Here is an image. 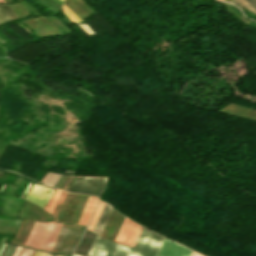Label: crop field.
<instances>
[{
  "instance_id": "8a807250",
  "label": "crop field",
  "mask_w": 256,
  "mask_h": 256,
  "mask_svg": "<svg viewBox=\"0 0 256 256\" xmlns=\"http://www.w3.org/2000/svg\"><path fill=\"white\" fill-rule=\"evenodd\" d=\"M162 237L142 228L133 249L121 246L96 236L88 255L90 256H155Z\"/></svg>"
},
{
  "instance_id": "ac0d7876",
  "label": "crop field",
  "mask_w": 256,
  "mask_h": 256,
  "mask_svg": "<svg viewBox=\"0 0 256 256\" xmlns=\"http://www.w3.org/2000/svg\"><path fill=\"white\" fill-rule=\"evenodd\" d=\"M63 223L36 222L25 245L51 252Z\"/></svg>"
},
{
  "instance_id": "34b2d1b8",
  "label": "crop field",
  "mask_w": 256,
  "mask_h": 256,
  "mask_svg": "<svg viewBox=\"0 0 256 256\" xmlns=\"http://www.w3.org/2000/svg\"><path fill=\"white\" fill-rule=\"evenodd\" d=\"M141 228V226L125 219L115 241L133 247Z\"/></svg>"
},
{
  "instance_id": "412701ff",
  "label": "crop field",
  "mask_w": 256,
  "mask_h": 256,
  "mask_svg": "<svg viewBox=\"0 0 256 256\" xmlns=\"http://www.w3.org/2000/svg\"><path fill=\"white\" fill-rule=\"evenodd\" d=\"M48 190L51 191L50 194H47ZM53 192L54 189L34 183L27 194L24 196V199H27L44 208Z\"/></svg>"
},
{
  "instance_id": "f4fd0767",
  "label": "crop field",
  "mask_w": 256,
  "mask_h": 256,
  "mask_svg": "<svg viewBox=\"0 0 256 256\" xmlns=\"http://www.w3.org/2000/svg\"><path fill=\"white\" fill-rule=\"evenodd\" d=\"M191 252V250L164 238L156 256H190Z\"/></svg>"
},
{
  "instance_id": "dd49c442",
  "label": "crop field",
  "mask_w": 256,
  "mask_h": 256,
  "mask_svg": "<svg viewBox=\"0 0 256 256\" xmlns=\"http://www.w3.org/2000/svg\"><path fill=\"white\" fill-rule=\"evenodd\" d=\"M97 202H98L97 198L95 197L89 198L86 204V207L82 213V216L78 222L79 224H86V225L88 224Z\"/></svg>"
},
{
  "instance_id": "e52e79f7",
  "label": "crop field",
  "mask_w": 256,
  "mask_h": 256,
  "mask_svg": "<svg viewBox=\"0 0 256 256\" xmlns=\"http://www.w3.org/2000/svg\"><path fill=\"white\" fill-rule=\"evenodd\" d=\"M232 4L237 3L242 7L256 13V0H233Z\"/></svg>"
},
{
  "instance_id": "d8731c3e",
  "label": "crop field",
  "mask_w": 256,
  "mask_h": 256,
  "mask_svg": "<svg viewBox=\"0 0 256 256\" xmlns=\"http://www.w3.org/2000/svg\"><path fill=\"white\" fill-rule=\"evenodd\" d=\"M103 205H104V203H102V202L100 201V203H99V205H98V207H97V209H96V211H95V214H94V216H93V218H92V220H91V222H90V224H89L88 229L93 230V228H94V226H95V223H96V221H97V219H98V216H99V214H100V212H101V209H102Z\"/></svg>"
},
{
  "instance_id": "5a996713",
  "label": "crop field",
  "mask_w": 256,
  "mask_h": 256,
  "mask_svg": "<svg viewBox=\"0 0 256 256\" xmlns=\"http://www.w3.org/2000/svg\"><path fill=\"white\" fill-rule=\"evenodd\" d=\"M63 11L67 15V17L72 21V22H79L82 21L80 18H78L74 13H72L65 5L63 6Z\"/></svg>"
},
{
  "instance_id": "3316defc",
  "label": "crop field",
  "mask_w": 256,
  "mask_h": 256,
  "mask_svg": "<svg viewBox=\"0 0 256 256\" xmlns=\"http://www.w3.org/2000/svg\"><path fill=\"white\" fill-rule=\"evenodd\" d=\"M59 193H60V191L55 190L53 196L51 197V199H50V201H49V203L47 204V206H46L45 209H47V210H49V211H52V209H53V207H54V204H55V202H56V200H57V197H58Z\"/></svg>"
},
{
  "instance_id": "28ad6ade",
  "label": "crop field",
  "mask_w": 256,
  "mask_h": 256,
  "mask_svg": "<svg viewBox=\"0 0 256 256\" xmlns=\"http://www.w3.org/2000/svg\"><path fill=\"white\" fill-rule=\"evenodd\" d=\"M32 252H33V249L24 247V249L22 250L19 256H30Z\"/></svg>"
},
{
  "instance_id": "d1516ede",
  "label": "crop field",
  "mask_w": 256,
  "mask_h": 256,
  "mask_svg": "<svg viewBox=\"0 0 256 256\" xmlns=\"http://www.w3.org/2000/svg\"><path fill=\"white\" fill-rule=\"evenodd\" d=\"M45 253L41 252V251H35V253L33 254V256H44Z\"/></svg>"
},
{
  "instance_id": "22f410ed",
  "label": "crop field",
  "mask_w": 256,
  "mask_h": 256,
  "mask_svg": "<svg viewBox=\"0 0 256 256\" xmlns=\"http://www.w3.org/2000/svg\"><path fill=\"white\" fill-rule=\"evenodd\" d=\"M21 249H22V247H21V246H18V248H17L16 251L14 252L13 256H17Z\"/></svg>"
},
{
  "instance_id": "cbeb9de0",
  "label": "crop field",
  "mask_w": 256,
  "mask_h": 256,
  "mask_svg": "<svg viewBox=\"0 0 256 256\" xmlns=\"http://www.w3.org/2000/svg\"><path fill=\"white\" fill-rule=\"evenodd\" d=\"M6 176H7V174L5 173L3 178H2V180H1V182H0V186H1L2 182L5 180Z\"/></svg>"
},
{
  "instance_id": "5142ce71",
  "label": "crop field",
  "mask_w": 256,
  "mask_h": 256,
  "mask_svg": "<svg viewBox=\"0 0 256 256\" xmlns=\"http://www.w3.org/2000/svg\"><path fill=\"white\" fill-rule=\"evenodd\" d=\"M191 256H201V255H199V254H197L195 252H192Z\"/></svg>"
},
{
  "instance_id": "d9b57169",
  "label": "crop field",
  "mask_w": 256,
  "mask_h": 256,
  "mask_svg": "<svg viewBox=\"0 0 256 256\" xmlns=\"http://www.w3.org/2000/svg\"><path fill=\"white\" fill-rule=\"evenodd\" d=\"M73 256H76V255H73Z\"/></svg>"
},
{
  "instance_id": "733c2abd",
  "label": "crop field",
  "mask_w": 256,
  "mask_h": 256,
  "mask_svg": "<svg viewBox=\"0 0 256 256\" xmlns=\"http://www.w3.org/2000/svg\"><path fill=\"white\" fill-rule=\"evenodd\" d=\"M58 256H60V255H58Z\"/></svg>"
},
{
  "instance_id": "4a817a6b",
  "label": "crop field",
  "mask_w": 256,
  "mask_h": 256,
  "mask_svg": "<svg viewBox=\"0 0 256 256\" xmlns=\"http://www.w3.org/2000/svg\"><path fill=\"white\" fill-rule=\"evenodd\" d=\"M64 1V0H63Z\"/></svg>"
}]
</instances>
